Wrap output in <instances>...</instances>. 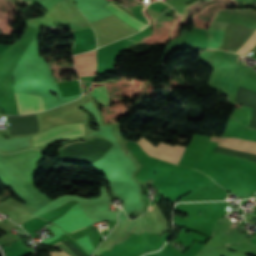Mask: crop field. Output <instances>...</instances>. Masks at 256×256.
Returning <instances> with one entry per match:
<instances>
[{
	"instance_id": "8a807250",
	"label": "crop field",
	"mask_w": 256,
	"mask_h": 256,
	"mask_svg": "<svg viewBox=\"0 0 256 256\" xmlns=\"http://www.w3.org/2000/svg\"><path fill=\"white\" fill-rule=\"evenodd\" d=\"M84 126L83 123L78 124H68V125H61L57 126L45 133L37 134L32 136L33 145L42 146L48 143H51L55 140L73 137V136H84Z\"/></svg>"
},
{
	"instance_id": "ac0d7876",
	"label": "crop field",
	"mask_w": 256,
	"mask_h": 256,
	"mask_svg": "<svg viewBox=\"0 0 256 256\" xmlns=\"http://www.w3.org/2000/svg\"><path fill=\"white\" fill-rule=\"evenodd\" d=\"M150 156H154L172 163L178 164L185 147L168 145L160 142L156 148L143 137L137 142Z\"/></svg>"
},
{
	"instance_id": "34b2d1b8",
	"label": "crop field",
	"mask_w": 256,
	"mask_h": 256,
	"mask_svg": "<svg viewBox=\"0 0 256 256\" xmlns=\"http://www.w3.org/2000/svg\"><path fill=\"white\" fill-rule=\"evenodd\" d=\"M225 21L215 20L213 19L210 25L209 29V41H210V48L218 49L219 46L222 43L225 27H226ZM256 30L253 32V34L244 42V44L241 46L244 48V46L255 36ZM256 44V36L248 43V45L242 50L239 48L236 53L244 54L246 55Z\"/></svg>"
},
{
	"instance_id": "412701ff",
	"label": "crop field",
	"mask_w": 256,
	"mask_h": 256,
	"mask_svg": "<svg viewBox=\"0 0 256 256\" xmlns=\"http://www.w3.org/2000/svg\"><path fill=\"white\" fill-rule=\"evenodd\" d=\"M15 95L19 115L45 110L42 96L20 93Z\"/></svg>"
},
{
	"instance_id": "f4fd0767",
	"label": "crop field",
	"mask_w": 256,
	"mask_h": 256,
	"mask_svg": "<svg viewBox=\"0 0 256 256\" xmlns=\"http://www.w3.org/2000/svg\"><path fill=\"white\" fill-rule=\"evenodd\" d=\"M78 73L79 74H87V73H95V50L92 52L76 55L73 57ZM94 74H87V75H79V77L83 76H91Z\"/></svg>"
},
{
	"instance_id": "dd49c442",
	"label": "crop field",
	"mask_w": 256,
	"mask_h": 256,
	"mask_svg": "<svg viewBox=\"0 0 256 256\" xmlns=\"http://www.w3.org/2000/svg\"><path fill=\"white\" fill-rule=\"evenodd\" d=\"M106 6L109 7L112 11H114V12H115L117 15H119L121 18H123L125 21L129 22L130 24H132L133 26L137 27L138 29L141 30L142 28L146 27L145 24H143V23H141L140 21H138V20L134 19L133 17H131L129 14H127L125 11H123L122 9H120V8H119L118 6H116L114 3L111 2V3H109V4L106 5ZM106 6H105V7H106ZM107 7H106V8H107ZM109 8H108V9H109ZM110 9H109V10H110ZM111 10H110V11H111ZM112 11H111V12H112ZM114 12H113V13H114ZM115 13H114V14H115ZM116 14H115V15H116ZM117 15H116V16H117ZM119 16H118V17H119ZM120 17H119V18H120ZM121 18H120V19H121ZM123 19H122V20H123ZM124 20H123V21H124ZM125 21H124V22H125ZM127 22H126V23H127ZM132 25H131V26H132ZM135 27H134V28H135ZM138 29H137V30H138ZM140 30H139V31H140Z\"/></svg>"
},
{
	"instance_id": "e52e79f7",
	"label": "crop field",
	"mask_w": 256,
	"mask_h": 256,
	"mask_svg": "<svg viewBox=\"0 0 256 256\" xmlns=\"http://www.w3.org/2000/svg\"><path fill=\"white\" fill-rule=\"evenodd\" d=\"M57 84L62 97L81 94V89L78 80Z\"/></svg>"
},
{
	"instance_id": "d8731c3e",
	"label": "crop field",
	"mask_w": 256,
	"mask_h": 256,
	"mask_svg": "<svg viewBox=\"0 0 256 256\" xmlns=\"http://www.w3.org/2000/svg\"><path fill=\"white\" fill-rule=\"evenodd\" d=\"M88 91L99 104L104 105L108 103V94L104 84L91 86Z\"/></svg>"
},
{
	"instance_id": "5a996713",
	"label": "crop field",
	"mask_w": 256,
	"mask_h": 256,
	"mask_svg": "<svg viewBox=\"0 0 256 256\" xmlns=\"http://www.w3.org/2000/svg\"><path fill=\"white\" fill-rule=\"evenodd\" d=\"M210 140L256 150V142H252V141H247V140H242L237 138H214V137H211Z\"/></svg>"
},
{
	"instance_id": "3316defc",
	"label": "crop field",
	"mask_w": 256,
	"mask_h": 256,
	"mask_svg": "<svg viewBox=\"0 0 256 256\" xmlns=\"http://www.w3.org/2000/svg\"><path fill=\"white\" fill-rule=\"evenodd\" d=\"M57 247H59L60 249H62L63 251L60 253H56V252H50L51 256H76L73 252H71L68 248H66L63 244H61L60 242L54 244Z\"/></svg>"
},
{
	"instance_id": "28ad6ade",
	"label": "crop field",
	"mask_w": 256,
	"mask_h": 256,
	"mask_svg": "<svg viewBox=\"0 0 256 256\" xmlns=\"http://www.w3.org/2000/svg\"><path fill=\"white\" fill-rule=\"evenodd\" d=\"M218 145H219V146H223V147H227V148H231V149H236V150H240V151H244V152H249V153L256 154V152H254V151L239 149V148L231 147V146H228V145H225V144H221V143H218Z\"/></svg>"
},
{
	"instance_id": "d1516ede",
	"label": "crop field",
	"mask_w": 256,
	"mask_h": 256,
	"mask_svg": "<svg viewBox=\"0 0 256 256\" xmlns=\"http://www.w3.org/2000/svg\"><path fill=\"white\" fill-rule=\"evenodd\" d=\"M71 144H73V143H71Z\"/></svg>"
}]
</instances>
